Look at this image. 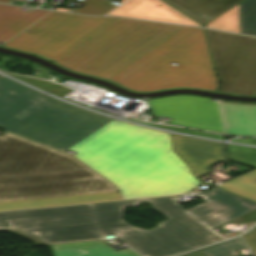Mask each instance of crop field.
Listing matches in <instances>:
<instances>
[{"mask_svg": "<svg viewBox=\"0 0 256 256\" xmlns=\"http://www.w3.org/2000/svg\"><path fill=\"white\" fill-rule=\"evenodd\" d=\"M214 68L221 86L218 91L255 95L256 38L206 30Z\"/></svg>", "mask_w": 256, "mask_h": 256, "instance_id": "crop-field-7", "label": "crop field"}, {"mask_svg": "<svg viewBox=\"0 0 256 256\" xmlns=\"http://www.w3.org/2000/svg\"><path fill=\"white\" fill-rule=\"evenodd\" d=\"M120 200L115 187L74 157L5 132L0 211Z\"/></svg>", "mask_w": 256, "mask_h": 256, "instance_id": "crop-field-3", "label": "crop field"}, {"mask_svg": "<svg viewBox=\"0 0 256 256\" xmlns=\"http://www.w3.org/2000/svg\"><path fill=\"white\" fill-rule=\"evenodd\" d=\"M240 238L200 250L206 256H240L236 250L244 249Z\"/></svg>", "mask_w": 256, "mask_h": 256, "instance_id": "crop-field-20", "label": "crop field"}, {"mask_svg": "<svg viewBox=\"0 0 256 256\" xmlns=\"http://www.w3.org/2000/svg\"><path fill=\"white\" fill-rule=\"evenodd\" d=\"M116 17L90 18L52 12L4 46L36 53L54 62L103 29Z\"/></svg>", "mask_w": 256, "mask_h": 256, "instance_id": "crop-field-6", "label": "crop field"}, {"mask_svg": "<svg viewBox=\"0 0 256 256\" xmlns=\"http://www.w3.org/2000/svg\"><path fill=\"white\" fill-rule=\"evenodd\" d=\"M155 116L171 118L170 124L223 133L217 102L198 96H173L149 100Z\"/></svg>", "mask_w": 256, "mask_h": 256, "instance_id": "crop-field-8", "label": "crop field"}, {"mask_svg": "<svg viewBox=\"0 0 256 256\" xmlns=\"http://www.w3.org/2000/svg\"><path fill=\"white\" fill-rule=\"evenodd\" d=\"M21 7L0 4V41L7 42L16 34L47 14V11L31 9L22 12Z\"/></svg>", "mask_w": 256, "mask_h": 256, "instance_id": "crop-field-13", "label": "crop field"}, {"mask_svg": "<svg viewBox=\"0 0 256 256\" xmlns=\"http://www.w3.org/2000/svg\"><path fill=\"white\" fill-rule=\"evenodd\" d=\"M109 15L200 26L160 0H129Z\"/></svg>", "mask_w": 256, "mask_h": 256, "instance_id": "crop-field-10", "label": "crop field"}, {"mask_svg": "<svg viewBox=\"0 0 256 256\" xmlns=\"http://www.w3.org/2000/svg\"><path fill=\"white\" fill-rule=\"evenodd\" d=\"M172 62L179 65L172 66ZM120 86L136 92L174 87L216 91L219 83L211 67L203 29L198 30Z\"/></svg>", "mask_w": 256, "mask_h": 256, "instance_id": "crop-field-5", "label": "crop field"}, {"mask_svg": "<svg viewBox=\"0 0 256 256\" xmlns=\"http://www.w3.org/2000/svg\"><path fill=\"white\" fill-rule=\"evenodd\" d=\"M80 3L85 5L83 8L75 10V13L103 15L116 7L105 0H82Z\"/></svg>", "mask_w": 256, "mask_h": 256, "instance_id": "crop-field-21", "label": "crop field"}, {"mask_svg": "<svg viewBox=\"0 0 256 256\" xmlns=\"http://www.w3.org/2000/svg\"><path fill=\"white\" fill-rule=\"evenodd\" d=\"M206 202L185 211L171 197L87 206L0 213V231L8 230L38 244L104 238L115 235L144 256H171L225 238L211 230L256 209V203L217 187ZM148 201L168 219L148 231L131 226L124 208Z\"/></svg>", "mask_w": 256, "mask_h": 256, "instance_id": "crop-field-2", "label": "crop field"}, {"mask_svg": "<svg viewBox=\"0 0 256 256\" xmlns=\"http://www.w3.org/2000/svg\"><path fill=\"white\" fill-rule=\"evenodd\" d=\"M241 33L256 36V0L240 3Z\"/></svg>", "mask_w": 256, "mask_h": 256, "instance_id": "crop-field-17", "label": "crop field"}, {"mask_svg": "<svg viewBox=\"0 0 256 256\" xmlns=\"http://www.w3.org/2000/svg\"><path fill=\"white\" fill-rule=\"evenodd\" d=\"M174 151L192 168L196 177L210 173V167L225 161L223 144L172 134Z\"/></svg>", "mask_w": 256, "mask_h": 256, "instance_id": "crop-field-9", "label": "crop field"}, {"mask_svg": "<svg viewBox=\"0 0 256 256\" xmlns=\"http://www.w3.org/2000/svg\"><path fill=\"white\" fill-rule=\"evenodd\" d=\"M51 246L55 256H139L130 248L116 252L101 240Z\"/></svg>", "mask_w": 256, "mask_h": 256, "instance_id": "crop-field-15", "label": "crop field"}, {"mask_svg": "<svg viewBox=\"0 0 256 256\" xmlns=\"http://www.w3.org/2000/svg\"><path fill=\"white\" fill-rule=\"evenodd\" d=\"M227 147L233 162L256 168V149L229 144Z\"/></svg>", "mask_w": 256, "mask_h": 256, "instance_id": "crop-field-19", "label": "crop field"}, {"mask_svg": "<svg viewBox=\"0 0 256 256\" xmlns=\"http://www.w3.org/2000/svg\"><path fill=\"white\" fill-rule=\"evenodd\" d=\"M231 141L256 145V138H244V139H236Z\"/></svg>", "mask_w": 256, "mask_h": 256, "instance_id": "crop-field-24", "label": "crop field"}, {"mask_svg": "<svg viewBox=\"0 0 256 256\" xmlns=\"http://www.w3.org/2000/svg\"><path fill=\"white\" fill-rule=\"evenodd\" d=\"M180 28L118 18L56 64L108 80Z\"/></svg>", "mask_w": 256, "mask_h": 256, "instance_id": "crop-field-4", "label": "crop field"}, {"mask_svg": "<svg viewBox=\"0 0 256 256\" xmlns=\"http://www.w3.org/2000/svg\"><path fill=\"white\" fill-rule=\"evenodd\" d=\"M207 27L240 33L239 5L208 23Z\"/></svg>", "mask_w": 256, "mask_h": 256, "instance_id": "crop-field-18", "label": "crop field"}, {"mask_svg": "<svg viewBox=\"0 0 256 256\" xmlns=\"http://www.w3.org/2000/svg\"><path fill=\"white\" fill-rule=\"evenodd\" d=\"M219 105L226 133L256 136V104L219 100Z\"/></svg>", "mask_w": 256, "mask_h": 256, "instance_id": "crop-field-11", "label": "crop field"}, {"mask_svg": "<svg viewBox=\"0 0 256 256\" xmlns=\"http://www.w3.org/2000/svg\"><path fill=\"white\" fill-rule=\"evenodd\" d=\"M203 24L242 0H165ZM204 25V24H203Z\"/></svg>", "mask_w": 256, "mask_h": 256, "instance_id": "crop-field-14", "label": "crop field"}, {"mask_svg": "<svg viewBox=\"0 0 256 256\" xmlns=\"http://www.w3.org/2000/svg\"><path fill=\"white\" fill-rule=\"evenodd\" d=\"M243 237L254 255L256 256V227Z\"/></svg>", "mask_w": 256, "mask_h": 256, "instance_id": "crop-field-23", "label": "crop field"}, {"mask_svg": "<svg viewBox=\"0 0 256 256\" xmlns=\"http://www.w3.org/2000/svg\"><path fill=\"white\" fill-rule=\"evenodd\" d=\"M198 28L183 27L176 33L165 39L163 42L158 44L156 47L151 49L149 52L144 54L142 57L137 59L135 62L130 64L116 76H114L110 81L120 85L129 77L137 73L139 70L159 58L161 55L172 49L174 46L179 44L181 41L189 37L191 34L196 32ZM130 79V78H129Z\"/></svg>", "mask_w": 256, "mask_h": 256, "instance_id": "crop-field-12", "label": "crop field"}, {"mask_svg": "<svg viewBox=\"0 0 256 256\" xmlns=\"http://www.w3.org/2000/svg\"><path fill=\"white\" fill-rule=\"evenodd\" d=\"M185 256H205V255L203 253H201L200 251H198V252L188 254V255H185Z\"/></svg>", "mask_w": 256, "mask_h": 256, "instance_id": "crop-field-25", "label": "crop field"}, {"mask_svg": "<svg viewBox=\"0 0 256 256\" xmlns=\"http://www.w3.org/2000/svg\"><path fill=\"white\" fill-rule=\"evenodd\" d=\"M0 2L8 3V2H10V0H0Z\"/></svg>", "mask_w": 256, "mask_h": 256, "instance_id": "crop-field-26", "label": "crop field"}, {"mask_svg": "<svg viewBox=\"0 0 256 256\" xmlns=\"http://www.w3.org/2000/svg\"><path fill=\"white\" fill-rule=\"evenodd\" d=\"M219 186L227 191L256 202V169Z\"/></svg>", "mask_w": 256, "mask_h": 256, "instance_id": "crop-field-16", "label": "crop field"}, {"mask_svg": "<svg viewBox=\"0 0 256 256\" xmlns=\"http://www.w3.org/2000/svg\"><path fill=\"white\" fill-rule=\"evenodd\" d=\"M0 128L65 150L107 177L125 199L197 187L169 134L88 112L0 78Z\"/></svg>", "mask_w": 256, "mask_h": 256, "instance_id": "crop-field-1", "label": "crop field"}, {"mask_svg": "<svg viewBox=\"0 0 256 256\" xmlns=\"http://www.w3.org/2000/svg\"><path fill=\"white\" fill-rule=\"evenodd\" d=\"M159 126L163 127V128L171 129V130L180 131V132L187 133V134H192V135H197V136H203V137H209V138H215V139L223 140L222 136L211 134V133L200 132V131H193V130H186V129H180V128L162 126V125H159Z\"/></svg>", "mask_w": 256, "mask_h": 256, "instance_id": "crop-field-22", "label": "crop field"}]
</instances>
